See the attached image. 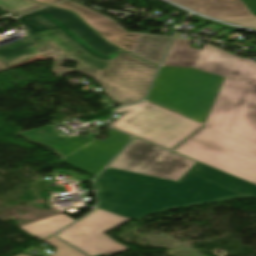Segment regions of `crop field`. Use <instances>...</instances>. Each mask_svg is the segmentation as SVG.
Returning <instances> with one entry per match:
<instances>
[{
    "mask_svg": "<svg viewBox=\"0 0 256 256\" xmlns=\"http://www.w3.org/2000/svg\"><path fill=\"white\" fill-rule=\"evenodd\" d=\"M18 21L30 32L0 48V60L7 66L43 54L55 58L52 72L60 79L71 72L93 77L121 105L144 99L158 67L111 46L74 14L48 7ZM65 60L79 64L76 69L61 68Z\"/></svg>",
    "mask_w": 256,
    "mask_h": 256,
    "instance_id": "8a807250",
    "label": "crop field"
},
{
    "mask_svg": "<svg viewBox=\"0 0 256 256\" xmlns=\"http://www.w3.org/2000/svg\"><path fill=\"white\" fill-rule=\"evenodd\" d=\"M96 186L99 209L133 221L179 208L256 198V185L201 163L180 182L107 168Z\"/></svg>",
    "mask_w": 256,
    "mask_h": 256,
    "instance_id": "ac0d7876",
    "label": "crop field"
},
{
    "mask_svg": "<svg viewBox=\"0 0 256 256\" xmlns=\"http://www.w3.org/2000/svg\"><path fill=\"white\" fill-rule=\"evenodd\" d=\"M196 69L225 78L206 125L256 145V63L205 44Z\"/></svg>",
    "mask_w": 256,
    "mask_h": 256,
    "instance_id": "34b2d1b8",
    "label": "crop field"
},
{
    "mask_svg": "<svg viewBox=\"0 0 256 256\" xmlns=\"http://www.w3.org/2000/svg\"><path fill=\"white\" fill-rule=\"evenodd\" d=\"M222 79L195 69L162 68L146 101L203 123Z\"/></svg>",
    "mask_w": 256,
    "mask_h": 256,
    "instance_id": "412701ff",
    "label": "crop field"
},
{
    "mask_svg": "<svg viewBox=\"0 0 256 256\" xmlns=\"http://www.w3.org/2000/svg\"><path fill=\"white\" fill-rule=\"evenodd\" d=\"M174 151L256 184V146L205 126Z\"/></svg>",
    "mask_w": 256,
    "mask_h": 256,
    "instance_id": "f4fd0767",
    "label": "crop field"
},
{
    "mask_svg": "<svg viewBox=\"0 0 256 256\" xmlns=\"http://www.w3.org/2000/svg\"><path fill=\"white\" fill-rule=\"evenodd\" d=\"M155 106L141 102L118 109L115 114L128 112L114 121L112 126L172 149L203 125Z\"/></svg>",
    "mask_w": 256,
    "mask_h": 256,
    "instance_id": "dd49c442",
    "label": "crop field"
},
{
    "mask_svg": "<svg viewBox=\"0 0 256 256\" xmlns=\"http://www.w3.org/2000/svg\"><path fill=\"white\" fill-rule=\"evenodd\" d=\"M81 5L68 0L53 7L75 12L112 44L159 65L172 37L127 33L114 20Z\"/></svg>",
    "mask_w": 256,
    "mask_h": 256,
    "instance_id": "e52e79f7",
    "label": "crop field"
},
{
    "mask_svg": "<svg viewBox=\"0 0 256 256\" xmlns=\"http://www.w3.org/2000/svg\"><path fill=\"white\" fill-rule=\"evenodd\" d=\"M196 163L169 150L135 138L109 166L177 181Z\"/></svg>",
    "mask_w": 256,
    "mask_h": 256,
    "instance_id": "d8731c3e",
    "label": "crop field"
},
{
    "mask_svg": "<svg viewBox=\"0 0 256 256\" xmlns=\"http://www.w3.org/2000/svg\"><path fill=\"white\" fill-rule=\"evenodd\" d=\"M128 220L97 209L58 236L89 256L119 253L128 248L116 243L105 233Z\"/></svg>",
    "mask_w": 256,
    "mask_h": 256,
    "instance_id": "5a996713",
    "label": "crop field"
},
{
    "mask_svg": "<svg viewBox=\"0 0 256 256\" xmlns=\"http://www.w3.org/2000/svg\"><path fill=\"white\" fill-rule=\"evenodd\" d=\"M109 139L97 140L76 151L62 161L95 177L100 170L127 144L130 136L115 130L111 131Z\"/></svg>",
    "mask_w": 256,
    "mask_h": 256,
    "instance_id": "3316defc",
    "label": "crop field"
},
{
    "mask_svg": "<svg viewBox=\"0 0 256 256\" xmlns=\"http://www.w3.org/2000/svg\"><path fill=\"white\" fill-rule=\"evenodd\" d=\"M204 15L256 28V17L241 0H171Z\"/></svg>",
    "mask_w": 256,
    "mask_h": 256,
    "instance_id": "28ad6ade",
    "label": "crop field"
},
{
    "mask_svg": "<svg viewBox=\"0 0 256 256\" xmlns=\"http://www.w3.org/2000/svg\"><path fill=\"white\" fill-rule=\"evenodd\" d=\"M55 130L52 125H50L17 135L32 143H37L53 148L57 151L56 155L62 158L94 141L84 136L61 137Z\"/></svg>",
    "mask_w": 256,
    "mask_h": 256,
    "instance_id": "d1516ede",
    "label": "crop field"
},
{
    "mask_svg": "<svg viewBox=\"0 0 256 256\" xmlns=\"http://www.w3.org/2000/svg\"><path fill=\"white\" fill-rule=\"evenodd\" d=\"M190 42L175 39L162 66L194 68L201 50L189 48Z\"/></svg>",
    "mask_w": 256,
    "mask_h": 256,
    "instance_id": "22f410ed",
    "label": "crop field"
},
{
    "mask_svg": "<svg viewBox=\"0 0 256 256\" xmlns=\"http://www.w3.org/2000/svg\"><path fill=\"white\" fill-rule=\"evenodd\" d=\"M73 221L75 220L61 214L30 225L22 226V228L42 240Z\"/></svg>",
    "mask_w": 256,
    "mask_h": 256,
    "instance_id": "cbeb9de0",
    "label": "crop field"
},
{
    "mask_svg": "<svg viewBox=\"0 0 256 256\" xmlns=\"http://www.w3.org/2000/svg\"><path fill=\"white\" fill-rule=\"evenodd\" d=\"M44 6L32 0H0V14L10 11L18 16Z\"/></svg>",
    "mask_w": 256,
    "mask_h": 256,
    "instance_id": "5142ce71",
    "label": "crop field"
},
{
    "mask_svg": "<svg viewBox=\"0 0 256 256\" xmlns=\"http://www.w3.org/2000/svg\"><path fill=\"white\" fill-rule=\"evenodd\" d=\"M45 242L51 244L53 247H55L57 249L55 251V253L52 254L51 256H85L84 254L80 253L79 251L72 248L68 244H66L54 237ZM18 256H26V255L21 254Z\"/></svg>",
    "mask_w": 256,
    "mask_h": 256,
    "instance_id": "d9b57169",
    "label": "crop field"
},
{
    "mask_svg": "<svg viewBox=\"0 0 256 256\" xmlns=\"http://www.w3.org/2000/svg\"><path fill=\"white\" fill-rule=\"evenodd\" d=\"M249 10L256 16V0H242Z\"/></svg>",
    "mask_w": 256,
    "mask_h": 256,
    "instance_id": "733c2abd",
    "label": "crop field"
},
{
    "mask_svg": "<svg viewBox=\"0 0 256 256\" xmlns=\"http://www.w3.org/2000/svg\"><path fill=\"white\" fill-rule=\"evenodd\" d=\"M35 1L51 5V4L57 3V2L62 1V0H35Z\"/></svg>",
    "mask_w": 256,
    "mask_h": 256,
    "instance_id": "4a817a6b",
    "label": "crop field"
},
{
    "mask_svg": "<svg viewBox=\"0 0 256 256\" xmlns=\"http://www.w3.org/2000/svg\"><path fill=\"white\" fill-rule=\"evenodd\" d=\"M5 70H8V67L3 62L0 61V72Z\"/></svg>",
    "mask_w": 256,
    "mask_h": 256,
    "instance_id": "bc2a9ffb",
    "label": "crop field"
},
{
    "mask_svg": "<svg viewBox=\"0 0 256 256\" xmlns=\"http://www.w3.org/2000/svg\"><path fill=\"white\" fill-rule=\"evenodd\" d=\"M147 1H149L151 3H154V2H157V1H160V0H147Z\"/></svg>",
    "mask_w": 256,
    "mask_h": 256,
    "instance_id": "214f88e0",
    "label": "crop field"
}]
</instances>
